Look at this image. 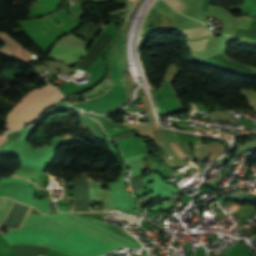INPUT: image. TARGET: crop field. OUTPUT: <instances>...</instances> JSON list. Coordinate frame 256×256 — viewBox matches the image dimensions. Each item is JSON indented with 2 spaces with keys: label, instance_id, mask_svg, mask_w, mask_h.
<instances>
[{
  "label": "crop field",
  "instance_id": "obj_1",
  "mask_svg": "<svg viewBox=\"0 0 256 256\" xmlns=\"http://www.w3.org/2000/svg\"><path fill=\"white\" fill-rule=\"evenodd\" d=\"M2 235L11 246L16 244L46 246L69 256H100L115 250L73 229L64 238L40 229L9 230L8 233Z\"/></svg>",
  "mask_w": 256,
  "mask_h": 256
},
{
  "label": "crop field",
  "instance_id": "obj_2",
  "mask_svg": "<svg viewBox=\"0 0 256 256\" xmlns=\"http://www.w3.org/2000/svg\"><path fill=\"white\" fill-rule=\"evenodd\" d=\"M15 201L7 199V198H0V226L5 222L6 218L8 217V215L10 214L13 206H14ZM70 228H73L77 231H80L82 233H85L89 236H92L116 249L121 248V247H129L125 244H122L114 239H111L103 234H100L92 229H89L81 224H78L70 219H67L59 214L56 215H46ZM44 215H41L36 209H32L31 214L29 216V219L26 223L25 228H41V229H45V230H49V231H53L61 236H65L67 234V232L70 230V228L46 217ZM95 223H98L110 230H113L125 237H128L134 241H136L135 239H133L130 235L124 233L121 231V227L118 226H111V225H107L106 223L97 220L93 217H85ZM24 228V229H25ZM137 242V241H136Z\"/></svg>",
  "mask_w": 256,
  "mask_h": 256
},
{
  "label": "crop field",
  "instance_id": "obj_3",
  "mask_svg": "<svg viewBox=\"0 0 256 256\" xmlns=\"http://www.w3.org/2000/svg\"><path fill=\"white\" fill-rule=\"evenodd\" d=\"M63 99L56 88L50 85L28 93L9 113L6 129L16 130L23 127Z\"/></svg>",
  "mask_w": 256,
  "mask_h": 256
},
{
  "label": "crop field",
  "instance_id": "obj_4",
  "mask_svg": "<svg viewBox=\"0 0 256 256\" xmlns=\"http://www.w3.org/2000/svg\"><path fill=\"white\" fill-rule=\"evenodd\" d=\"M83 52L84 49L80 47H53L47 57L62 60L73 65L80 59Z\"/></svg>",
  "mask_w": 256,
  "mask_h": 256
},
{
  "label": "crop field",
  "instance_id": "obj_5",
  "mask_svg": "<svg viewBox=\"0 0 256 256\" xmlns=\"http://www.w3.org/2000/svg\"><path fill=\"white\" fill-rule=\"evenodd\" d=\"M89 183V194L90 199L96 198L97 200L102 201L103 210H111L110 200H109V190H101L100 184L105 183H96L90 178H88Z\"/></svg>",
  "mask_w": 256,
  "mask_h": 256
},
{
  "label": "crop field",
  "instance_id": "obj_6",
  "mask_svg": "<svg viewBox=\"0 0 256 256\" xmlns=\"http://www.w3.org/2000/svg\"><path fill=\"white\" fill-rule=\"evenodd\" d=\"M184 36L190 38H198L207 35L209 32L202 29L201 27L180 31Z\"/></svg>",
  "mask_w": 256,
  "mask_h": 256
},
{
  "label": "crop field",
  "instance_id": "obj_7",
  "mask_svg": "<svg viewBox=\"0 0 256 256\" xmlns=\"http://www.w3.org/2000/svg\"><path fill=\"white\" fill-rule=\"evenodd\" d=\"M208 39L188 41L189 48L191 51H203Z\"/></svg>",
  "mask_w": 256,
  "mask_h": 256
},
{
  "label": "crop field",
  "instance_id": "obj_8",
  "mask_svg": "<svg viewBox=\"0 0 256 256\" xmlns=\"http://www.w3.org/2000/svg\"><path fill=\"white\" fill-rule=\"evenodd\" d=\"M170 6L176 8L178 11L182 12L185 9L186 4L182 0H165ZM175 9V10H176Z\"/></svg>",
  "mask_w": 256,
  "mask_h": 256
},
{
  "label": "crop field",
  "instance_id": "obj_9",
  "mask_svg": "<svg viewBox=\"0 0 256 256\" xmlns=\"http://www.w3.org/2000/svg\"><path fill=\"white\" fill-rule=\"evenodd\" d=\"M6 141H8L6 135H3V136L0 137V145H1L2 143L6 142Z\"/></svg>",
  "mask_w": 256,
  "mask_h": 256
}]
</instances>
